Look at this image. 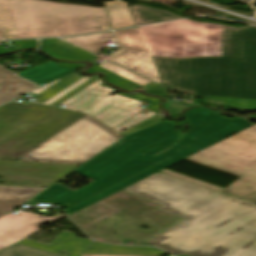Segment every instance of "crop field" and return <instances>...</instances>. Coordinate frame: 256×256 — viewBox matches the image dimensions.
Wrapping results in <instances>:
<instances>
[{
  "instance_id": "1",
  "label": "crop field",
  "mask_w": 256,
  "mask_h": 256,
  "mask_svg": "<svg viewBox=\"0 0 256 256\" xmlns=\"http://www.w3.org/2000/svg\"><path fill=\"white\" fill-rule=\"evenodd\" d=\"M138 29L164 85L198 98H256V28L182 20Z\"/></svg>"
},
{
  "instance_id": "2",
  "label": "crop field",
  "mask_w": 256,
  "mask_h": 256,
  "mask_svg": "<svg viewBox=\"0 0 256 256\" xmlns=\"http://www.w3.org/2000/svg\"><path fill=\"white\" fill-rule=\"evenodd\" d=\"M254 118L256 116L227 119L209 109H191L183 118L190 129L171 150L168 147L173 146L181 134L171 122L157 123L126 136L74 170L95 182L77 191L54 184L28 204L56 203L70 215L252 125L249 119ZM166 148L169 151L153 156Z\"/></svg>"
},
{
  "instance_id": "3",
  "label": "crop field",
  "mask_w": 256,
  "mask_h": 256,
  "mask_svg": "<svg viewBox=\"0 0 256 256\" xmlns=\"http://www.w3.org/2000/svg\"><path fill=\"white\" fill-rule=\"evenodd\" d=\"M187 219L148 241L174 255L256 256V205L162 174L124 189Z\"/></svg>"
},
{
  "instance_id": "4",
  "label": "crop field",
  "mask_w": 256,
  "mask_h": 256,
  "mask_svg": "<svg viewBox=\"0 0 256 256\" xmlns=\"http://www.w3.org/2000/svg\"><path fill=\"white\" fill-rule=\"evenodd\" d=\"M84 115L41 104L0 107V159L18 160Z\"/></svg>"
},
{
  "instance_id": "5",
  "label": "crop field",
  "mask_w": 256,
  "mask_h": 256,
  "mask_svg": "<svg viewBox=\"0 0 256 256\" xmlns=\"http://www.w3.org/2000/svg\"><path fill=\"white\" fill-rule=\"evenodd\" d=\"M90 78L91 77H84L80 79L53 98L46 101L44 104H52L53 102H55L56 100H58L59 98H61L62 96H64L65 94H67L68 92H70L71 90L81 85ZM57 81L52 82L32 92L38 94L52 84L56 83ZM113 91L115 90L105 87L100 80H97L96 82H94L81 92L77 93L61 105L66 106V109L83 111L112 128L134 116L135 114L139 113L140 111L144 110L138 108L140 104L144 101V99L149 100L153 103H157L146 109L145 112L138 114L137 116L113 129L121 135L158 118L154 116L157 113L161 117H163L159 109V99L145 97L141 93H130L127 95L117 94L112 97L109 95V93ZM126 128L128 130L122 132Z\"/></svg>"
},
{
  "instance_id": "6",
  "label": "crop field",
  "mask_w": 256,
  "mask_h": 256,
  "mask_svg": "<svg viewBox=\"0 0 256 256\" xmlns=\"http://www.w3.org/2000/svg\"><path fill=\"white\" fill-rule=\"evenodd\" d=\"M121 138L96 119L83 117L19 160L83 164Z\"/></svg>"
},
{
  "instance_id": "7",
  "label": "crop field",
  "mask_w": 256,
  "mask_h": 256,
  "mask_svg": "<svg viewBox=\"0 0 256 256\" xmlns=\"http://www.w3.org/2000/svg\"><path fill=\"white\" fill-rule=\"evenodd\" d=\"M36 37L64 36L108 30L104 9L27 0Z\"/></svg>"
},
{
  "instance_id": "8",
  "label": "crop field",
  "mask_w": 256,
  "mask_h": 256,
  "mask_svg": "<svg viewBox=\"0 0 256 256\" xmlns=\"http://www.w3.org/2000/svg\"><path fill=\"white\" fill-rule=\"evenodd\" d=\"M185 159L241 177L221 192L256 203V159L247 160L211 146Z\"/></svg>"
},
{
  "instance_id": "9",
  "label": "crop field",
  "mask_w": 256,
  "mask_h": 256,
  "mask_svg": "<svg viewBox=\"0 0 256 256\" xmlns=\"http://www.w3.org/2000/svg\"><path fill=\"white\" fill-rule=\"evenodd\" d=\"M79 165L0 160L2 182L48 186Z\"/></svg>"
},
{
  "instance_id": "10",
  "label": "crop field",
  "mask_w": 256,
  "mask_h": 256,
  "mask_svg": "<svg viewBox=\"0 0 256 256\" xmlns=\"http://www.w3.org/2000/svg\"><path fill=\"white\" fill-rule=\"evenodd\" d=\"M118 45L122 50L109 60L130 69L151 80L161 83L159 73L147 51L137 28L115 31Z\"/></svg>"
},
{
  "instance_id": "11",
  "label": "crop field",
  "mask_w": 256,
  "mask_h": 256,
  "mask_svg": "<svg viewBox=\"0 0 256 256\" xmlns=\"http://www.w3.org/2000/svg\"><path fill=\"white\" fill-rule=\"evenodd\" d=\"M65 215L55 217H41L34 213L19 212L15 215L7 214L0 218V250L18 242L38 231L44 222L58 221Z\"/></svg>"
},
{
  "instance_id": "12",
  "label": "crop field",
  "mask_w": 256,
  "mask_h": 256,
  "mask_svg": "<svg viewBox=\"0 0 256 256\" xmlns=\"http://www.w3.org/2000/svg\"><path fill=\"white\" fill-rule=\"evenodd\" d=\"M0 24L4 39L35 38L26 0H0Z\"/></svg>"
},
{
  "instance_id": "13",
  "label": "crop field",
  "mask_w": 256,
  "mask_h": 256,
  "mask_svg": "<svg viewBox=\"0 0 256 256\" xmlns=\"http://www.w3.org/2000/svg\"><path fill=\"white\" fill-rule=\"evenodd\" d=\"M212 146L247 159L256 158V124Z\"/></svg>"
},
{
  "instance_id": "14",
  "label": "crop field",
  "mask_w": 256,
  "mask_h": 256,
  "mask_svg": "<svg viewBox=\"0 0 256 256\" xmlns=\"http://www.w3.org/2000/svg\"><path fill=\"white\" fill-rule=\"evenodd\" d=\"M64 232H62L50 246L43 245L26 239L18 243L55 254H57L61 249H64L67 252H69L72 256H78L91 242V240L88 239L76 238L74 234L71 232L66 234Z\"/></svg>"
},
{
  "instance_id": "15",
  "label": "crop field",
  "mask_w": 256,
  "mask_h": 256,
  "mask_svg": "<svg viewBox=\"0 0 256 256\" xmlns=\"http://www.w3.org/2000/svg\"><path fill=\"white\" fill-rule=\"evenodd\" d=\"M74 72L54 63H46L39 67H31L18 75L37 83L40 87Z\"/></svg>"
},
{
  "instance_id": "16",
  "label": "crop field",
  "mask_w": 256,
  "mask_h": 256,
  "mask_svg": "<svg viewBox=\"0 0 256 256\" xmlns=\"http://www.w3.org/2000/svg\"><path fill=\"white\" fill-rule=\"evenodd\" d=\"M33 89L35 85L14 76L13 72L0 67V104L25 93L26 89Z\"/></svg>"
},
{
  "instance_id": "17",
  "label": "crop field",
  "mask_w": 256,
  "mask_h": 256,
  "mask_svg": "<svg viewBox=\"0 0 256 256\" xmlns=\"http://www.w3.org/2000/svg\"><path fill=\"white\" fill-rule=\"evenodd\" d=\"M42 189L0 187V211L10 212Z\"/></svg>"
},
{
  "instance_id": "18",
  "label": "crop field",
  "mask_w": 256,
  "mask_h": 256,
  "mask_svg": "<svg viewBox=\"0 0 256 256\" xmlns=\"http://www.w3.org/2000/svg\"><path fill=\"white\" fill-rule=\"evenodd\" d=\"M87 73H94V72H103L106 74L105 79L111 83L114 84L120 88H123L127 91H132L134 89L137 88H141L145 91H147L150 95H158V96H162V97H167L169 96V93L167 91V89L161 85H158L154 82L150 83L149 85H147L146 87L142 88L108 70H105L101 67H95V68H91L89 70L86 71Z\"/></svg>"
},
{
  "instance_id": "19",
  "label": "crop field",
  "mask_w": 256,
  "mask_h": 256,
  "mask_svg": "<svg viewBox=\"0 0 256 256\" xmlns=\"http://www.w3.org/2000/svg\"><path fill=\"white\" fill-rule=\"evenodd\" d=\"M83 254L165 255L166 253L152 248L123 247L94 242Z\"/></svg>"
},
{
  "instance_id": "20",
  "label": "crop field",
  "mask_w": 256,
  "mask_h": 256,
  "mask_svg": "<svg viewBox=\"0 0 256 256\" xmlns=\"http://www.w3.org/2000/svg\"><path fill=\"white\" fill-rule=\"evenodd\" d=\"M105 5L113 29L136 25L126 3L123 1H107Z\"/></svg>"
},
{
  "instance_id": "21",
  "label": "crop field",
  "mask_w": 256,
  "mask_h": 256,
  "mask_svg": "<svg viewBox=\"0 0 256 256\" xmlns=\"http://www.w3.org/2000/svg\"><path fill=\"white\" fill-rule=\"evenodd\" d=\"M137 25L181 19V17L168 13L164 10L142 7L135 5L130 7Z\"/></svg>"
},
{
  "instance_id": "22",
  "label": "crop field",
  "mask_w": 256,
  "mask_h": 256,
  "mask_svg": "<svg viewBox=\"0 0 256 256\" xmlns=\"http://www.w3.org/2000/svg\"><path fill=\"white\" fill-rule=\"evenodd\" d=\"M107 39L112 40L113 35L111 32L97 34V35H90V36H82V37H75V38H67L63 39L75 45H78L82 48H85L95 54L100 52L106 45L102 44Z\"/></svg>"
},
{
  "instance_id": "23",
  "label": "crop field",
  "mask_w": 256,
  "mask_h": 256,
  "mask_svg": "<svg viewBox=\"0 0 256 256\" xmlns=\"http://www.w3.org/2000/svg\"><path fill=\"white\" fill-rule=\"evenodd\" d=\"M204 100L207 103L224 106L231 109L245 111L256 110V99L204 96Z\"/></svg>"
},
{
  "instance_id": "24",
  "label": "crop field",
  "mask_w": 256,
  "mask_h": 256,
  "mask_svg": "<svg viewBox=\"0 0 256 256\" xmlns=\"http://www.w3.org/2000/svg\"><path fill=\"white\" fill-rule=\"evenodd\" d=\"M0 256H57L22 245L15 244L0 252Z\"/></svg>"
},
{
  "instance_id": "25",
  "label": "crop field",
  "mask_w": 256,
  "mask_h": 256,
  "mask_svg": "<svg viewBox=\"0 0 256 256\" xmlns=\"http://www.w3.org/2000/svg\"><path fill=\"white\" fill-rule=\"evenodd\" d=\"M100 66H102V67H104V68H106V69L124 77V78H127V79H129V80H131V81H133V82H135V83H137V84H139L143 87L146 86L147 84H149L150 82H152V81H150L146 78H143V77H141L137 74H134L130 71H127V70H125V69H123V68H121V67H119V66H117V65H115L111 62H108V61L104 62Z\"/></svg>"
},
{
  "instance_id": "26",
  "label": "crop field",
  "mask_w": 256,
  "mask_h": 256,
  "mask_svg": "<svg viewBox=\"0 0 256 256\" xmlns=\"http://www.w3.org/2000/svg\"><path fill=\"white\" fill-rule=\"evenodd\" d=\"M42 45H54L60 49H63L67 52H70L74 55H77L81 58H84L86 56L91 55L89 52H86L76 46H73L71 44L65 43L59 39H48V40H43L41 41Z\"/></svg>"
},
{
  "instance_id": "27",
  "label": "crop field",
  "mask_w": 256,
  "mask_h": 256,
  "mask_svg": "<svg viewBox=\"0 0 256 256\" xmlns=\"http://www.w3.org/2000/svg\"><path fill=\"white\" fill-rule=\"evenodd\" d=\"M42 49L44 51H46L48 54H50L51 56L55 57V58H58V59H65V60H78V59H81L77 56H74L70 53H67L63 50H60L54 46H42ZM97 57L91 55L89 57H86L84 59H96Z\"/></svg>"
},
{
  "instance_id": "28",
  "label": "crop field",
  "mask_w": 256,
  "mask_h": 256,
  "mask_svg": "<svg viewBox=\"0 0 256 256\" xmlns=\"http://www.w3.org/2000/svg\"><path fill=\"white\" fill-rule=\"evenodd\" d=\"M159 173H162V174H165V175H168L171 177H175V178H178V179H181V180H184V181H187V182H190V183L202 186V187H206V188L218 191V192L223 190V188H220V187H217V186H214V185H211V184H208V183L196 180V179H192V178H189V177H186V176H183V175H180V174H177V173L165 170V169L161 170Z\"/></svg>"
},
{
  "instance_id": "29",
  "label": "crop field",
  "mask_w": 256,
  "mask_h": 256,
  "mask_svg": "<svg viewBox=\"0 0 256 256\" xmlns=\"http://www.w3.org/2000/svg\"><path fill=\"white\" fill-rule=\"evenodd\" d=\"M13 45H18L17 49L27 48V47H36L35 40H27V41H11Z\"/></svg>"
},
{
  "instance_id": "30",
  "label": "crop field",
  "mask_w": 256,
  "mask_h": 256,
  "mask_svg": "<svg viewBox=\"0 0 256 256\" xmlns=\"http://www.w3.org/2000/svg\"><path fill=\"white\" fill-rule=\"evenodd\" d=\"M57 64H59L61 66L69 67V68H71V69H73L75 71L85 67L83 65H77V64H64V63H57Z\"/></svg>"
},
{
  "instance_id": "31",
  "label": "crop field",
  "mask_w": 256,
  "mask_h": 256,
  "mask_svg": "<svg viewBox=\"0 0 256 256\" xmlns=\"http://www.w3.org/2000/svg\"><path fill=\"white\" fill-rule=\"evenodd\" d=\"M5 186H21V185H10V184H4ZM21 187H33V186H21ZM36 188H42V187H36Z\"/></svg>"
},
{
  "instance_id": "32",
  "label": "crop field",
  "mask_w": 256,
  "mask_h": 256,
  "mask_svg": "<svg viewBox=\"0 0 256 256\" xmlns=\"http://www.w3.org/2000/svg\"><path fill=\"white\" fill-rule=\"evenodd\" d=\"M81 256H119V255H81Z\"/></svg>"
},
{
  "instance_id": "33",
  "label": "crop field",
  "mask_w": 256,
  "mask_h": 256,
  "mask_svg": "<svg viewBox=\"0 0 256 256\" xmlns=\"http://www.w3.org/2000/svg\"><path fill=\"white\" fill-rule=\"evenodd\" d=\"M0 39H3V38H2V34H1V28H0Z\"/></svg>"
},
{
  "instance_id": "34",
  "label": "crop field",
  "mask_w": 256,
  "mask_h": 256,
  "mask_svg": "<svg viewBox=\"0 0 256 256\" xmlns=\"http://www.w3.org/2000/svg\"><path fill=\"white\" fill-rule=\"evenodd\" d=\"M5 214H6V213H0V217L3 216V215H5Z\"/></svg>"
}]
</instances>
